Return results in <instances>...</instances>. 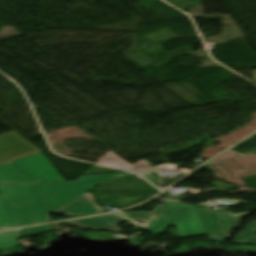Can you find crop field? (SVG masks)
<instances>
[{"mask_svg":"<svg viewBox=\"0 0 256 256\" xmlns=\"http://www.w3.org/2000/svg\"><path fill=\"white\" fill-rule=\"evenodd\" d=\"M0 195L14 228L51 221L37 183L0 185Z\"/></svg>","mask_w":256,"mask_h":256,"instance_id":"1","label":"crop field"},{"mask_svg":"<svg viewBox=\"0 0 256 256\" xmlns=\"http://www.w3.org/2000/svg\"><path fill=\"white\" fill-rule=\"evenodd\" d=\"M167 225H176L169 231L175 238L206 234L195 206L166 201L155 213L145 231L160 234Z\"/></svg>","mask_w":256,"mask_h":256,"instance_id":"2","label":"crop field"},{"mask_svg":"<svg viewBox=\"0 0 256 256\" xmlns=\"http://www.w3.org/2000/svg\"><path fill=\"white\" fill-rule=\"evenodd\" d=\"M12 163L37 181L12 166ZM51 181L64 180L42 153L0 165V184Z\"/></svg>","mask_w":256,"mask_h":256,"instance_id":"3","label":"crop field"},{"mask_svg":"<svg viewBox=\"0 0 256 256\" xmlns=\"http://www.w3.org/2000/svg\"><path fill=\"white\" fill-rule=\"evenodd\" d=\"M126 172L95 176H81L75 182L39 183L42 192L47 196L50 204V213L56 211L95 186L110 179L129 176Z\"/></svg>","mask_w":256,"mask_h":256,"instance_id":"4","label":"crop field"},{"mask_svg":"<svg viewBox=\"0 0 256 256\" xmlns=\"http://www.w3.org/2000/svg\"><path fill=\"white\" fill-rule=\"evenodd\" d=\"M209 240H227L228 233L236 228L239 217L249 213L232 215L230 212H217L196 208Z\"/></svg>","mask_w":256,"mask_h":256,"instance_id":"5","label":"crop field"},{"mask_svg":"<svg viewBox=\"0 0 256 256\" xmlns=\"http://www.w3.org/2000/svg\"><path fill=\"white\" fill-rule=\"evenodd\" d=\"M125 220L127 219L124 216L115 213L95 218L69 221L67 224L68 226H78L83 229L122 233L121 229L115 225Z\"/></svg>","mask_w":256,"mask_h":256,"instance_id":"6","label":"crop field"},{"mask_svg":"<svg viewBox=\"0 0 256 256\" xmlns=\"http://www.w3.org/2000/svg\"><path fill=\"white\" fill-rule=\"evenodd\" d=\"M93 196L88 192L61 209L54 212V214H62L69 216H87L100 213L102 210L100 206L93 202Z\"/></svg>","mask_w":256,"mask_h":256,"instance_id":"7","label":"crop field"},{"mask_svg":"<svg viewBox=\"0 0 256 256\" xmlns=\"http://www.w3.org/2000/svg\"><path fill=\"white\" fill-rule=\"evenodd\" d=\"M98 163L123 168L126 170L133 171L135 173L153 170L152 167H150L145 161L131 166L130 164H128L126 161H124L122 158H120L118 155L114 153L108 154L107 156L99 160Z\"/></svg>","mask_w":256,"mask_h":256,"instance_id":"8","label":"crop field"},{"mask_svg":"<svg viewBox=\"0 0 256 256\" xmlns=\"http://www.w3.org/2000/svg\"><path fill=\"white\" fill-rule=\"evenodd\" d=\"M231 243L256 244V221H254L246 230L240 232Z\"/></svg>","mask_w":256,"mask_h":256,"instance_id":"9","label":"crop field"},{"mask_svg":"<svg viewBox=\"0 0 256 256\" xmlns=\"http://www.w3.org/2000/svg\"><path fill=\"white\" fill-rule=\"evenodd\" d=\"M18 241L13 231L0 234V249L17 247Z\"/></svg>","mask_w":256,"mask_h":256,"instance_id":"10","label":"crop field"},{"mask_svg":"<svg viewBox=\"0 0 256 256\" xmlns=\"http://www.w3.org/2000/svg\"><path fill=\"white\" fill-rule=\"evenodd\" d=\"M13 228L0 197V230Z\"/></svg>","mask_w":256,"mask_h":256,"instance_id":"11","label":"crop field"},{"mask_svg":"<svg viewBox=\"0 0 256 256\" xmlns=\"http://www.w3.org/2000/svg\"><path fill=\"white\" fill-rule=\"evenodd\" d=\"M130 219H148L151 212H126L123 213Z\"/></svg>","mask_w":256,"mask_h":256,"instance_id":"12","label":"crop field"}]
</instances>
